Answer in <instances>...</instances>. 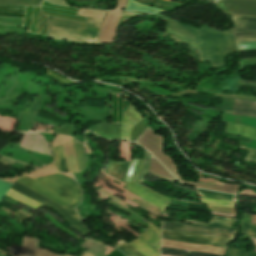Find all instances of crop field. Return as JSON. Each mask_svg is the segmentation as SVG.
I'll list each match as a JSON object with an SVG mask.
<instances>
[{
	"label": "crop field",
	"instance_id": "obj_35",
	"mask_svg": "<svg viewBox=\"0 0 256 256\" xmlns=\"http://www.w3.org/2000/svg\"><path fill=\"white\" fill-rule=\"evenodd\" d=\"M242 84L256 88V85H254V84H249V83H245V82H243Z\"/></svg>",
	"mask_w": 256,
	"mask_h": 256
},
{
	"label": "crop field",
	"instance_id": "obj_20",
	"mask_svg": "<svg viewBox=\"0 0 256 256\" xmlns=\"http://www.w3.org/2000/svg\"><path fill=\"white\" fill-rule=\"evenodd\" d=\"M125 9L147 11V12H166V11L159 10V9H156V8L140 5L136 2H134L133 0H128V4H127Z\"/></svg>",
	"mask_w": 256,
	"mask_h": 256
},
{
	"label": "crop field",
	"instance_id": "obj_14",
	"mask_svg": "<svg viewBox=\"0 0 256 256\" xmlns=\"http://www.w3.org/2000/svg\"><path fill=\"white\" fill-rule=\"evenodd\" d=\"M128 244L140 252L143 256H159V253L140 237Z\"/></svg>",
	"mask_w": 256,
	"mask_h": 256
},
{
	"label": "crop field",
	"instance_id": "obj_9",
	"mask_svg": "<svg viewBox=\"0 0 256 256\" xmlns=\"http://www.w3.org/2000/svg\"><path fill=\"white\" fill-rule=\"evenodd\" d=\"M16 181L24 184L25 186L31 188L32 190L40 193L41 195L47 197L48 199L56 202L57 204H59V205H61L63 207L66 206V205H71V203H69L65 199L61 198L57 194H55L52 191L48 190L47 188H45L44 186L40 185L39 183H37L36 181L32 180L29 177L18 178Z\"/></svg>",
	"mask_w": 256,
	"mask_h": 256
},
{
	"label": "crop field",
	"instance_id": "obj_36",
	"mask_svg": "<svg viewBox=\"0 0 256 256\" xmlns=\"http://www.w3.org/2000/svg\"><path fill=\"white\" fill-rule=\"evenodd\" d=\"M245 82H250V83H256V81H248V80H243Z\"/></svg>",
	"mask_w": 256,
	"mask_h": 256
},
{
	"label": "crop field",
	"instance_id": "obj_26",
	"mask_svg": "<svg viewBox=\"0 0 256 256\" xmlns=\"http://www.w3.org/2000/svg\"><path fill=\"white\" fill-rule=\"evenodd\" d=\"M242 233L249 237L256 238V226L250 224H243Z\"/></svg>",
	"mask_w": 256,
	"mask_h": 256
},
{
	"label": "crop field",
	"instance_id": "obj_24",
	"mask_svg": "<svg viewBox=\"0 0 256 256\" xmlns=\"http://www.w3.org/2000/svg\"><path fill=\"white\" fill-rule=\"evenodd\" d=\"M118 248L123 250L127 256H142L141 254H139L136 250H134L131 246H129L125 242L123 244H121Z\"/></svg>",
	"mask_w": 256,
	"mask_h": 256
},
{
	"label": "crop field",
	"instance_id": "obj_2",
	"mask_svg": "<svg viewBox=\"0 0 256 256\" xmlns=\"http://www.w3.org/2000/svg\"><path fill=\"white\" fill-rule=\"evenodd\" d=\"M47 38L97 44L103 20L89 18L87 23L48 17Z\"/></svg>",
	"mask_w": 256,
	"mask_h": 256
},
{
	"label": "crop field",
	"instance_id": "obj_17",
	"mask_svg": "<svg viewBox=\"0 0 256 256\" xmlns=\"http://www.w3.org/2000/svg\"><path fill=\"white\" fill-rule=\"evenodd\" d=\"M56 157L57 170L68 173L62 145L52 149Z\"/></svg>",
	"mask_w": 256,
	"mask_h": 256
},
{
	"label": "crop field",
	"instance_id": "obj_22",
	"mask_svg": "<svg viewBox=\"0 0 256 256\" xmlns=\"http://www.w3.org/2000/svg\"><path fill=\"white\" fill-rule=\"evenodd\" d=\"M149 156L150 154H148L146 151H145V155H144V163H143V166H142V169L140 171V174L137 178V182H140V183H143L144 179H145V176L147 174V170H148V166H149Z\"/></svg>",
	"mask_w": 256,
	"mask_h": 256
},
{
	"label": "crop field",
	"instance_id": "obj_37",
	"mask_svg": "<svg viewBox=\"0 0 256 256\" xmlns=\"http://www.w3.org/2000/svg\"><path fill=\"white\" fill-rule=\"evenodd\" d=\"M252 239V238H251ZM252 241L254 242L255 246H256V239H252Z\"/></svg>",
	"mask_w": 256,
	"mask_h": 256
},
{
	"label": "crop field",
	"instance_id": "obj_38",
	"mask_svg": "<svg viewBox=\"0 0 256 256\" xmlns=\"http://www.w3.org/2000/svg\"><path fill=\"white\" fill-rule=\"evenodd\" d=\"M205 1L213 2V1H216V0H205Z\"/></svg>",
	"mask_w": 256,
	"mask_h": 256
},
{
	"label": "crop field",
	"instance_id": "obj_32",
	"mask_svg": "<svg viewBox=\"0 0 256 256\" xmlns=\"http://www.w3.org/2000/svg\"><path fill=\"white\" fill-rule=\"evenodd\" d=\"M236 43L256 42V39L235 40Z\"/></svg>",
	"mask_w": 256,
	"mask_h": 256
},
{
	"label": "crop field",
	"instance_id": "obj_1",
	"mask_svg": "<svg viewBox=\"0 0 256 256\" xmlns=\"http://www.w3.org/2000/svg\"><path fill=\"white\" fill-rule=\"evenodd\" d=\"M168 22L166 32L199 50V62H209L212 68L226 65L225 53L236 52L231 30L221 33L202 25L195 29L160 14H153Z\"/></svg>",
	"mask_w": 256,
	"mask_h": 256
},
{
	"label": "crop field",
	"instance_id": "obj_8",
	"mask_svg": "<svg viewBox=\"0 0 256 256\" xmlns=\"http://www.w3.org/2000/svg\"><path fill=\"white\" fill-rule=\"evenodd\" d=\"M216 4L229 15L256 17V0H219Z\"/></svg>",
	"mask_w": 256,
	"mask_h": 256
},
{
	"label": "crop field",
	"instance_id": "obj_6",
	"mask_svg": "<svg viewBox=\"0 0 256 256\" xmlns=\"http://www.w3.org/2000/svg\"><path fill=\"white\" fill-rule=\"evenodd\" d=\"M162 239L226 248L229 239L189 234L162 229Z\"/></svg>",
	"mask_w": 256,
	"mask_h": 256
},
{
	"label": "crop field",
	"instance_id": "obj_39",
	"mask_svg": "<svg viewBox=\"0 0 256 256\" xmlns=\"http://www.w3.org/2000/svg\"><path fill=\"white\" fill-rule=\"evenodd\" d=\"M161 256H164V255H161Z\"/></svg>",
	"mask_w": 256,
	"mask_h": 256
},
{
	"label": "crop field",
	"instance_id": "obj_13",
	"mask_svg": "<svg viewBox=\"0 0 256 256\" xmlns=\"http://www.w3.org/2000/svg\"><path fill=\"white\" fill-rule=\"evenodd\" d=\"M146 242L159 251L160 230L149 224L146 232L139 234Z\"/></svg>",
	"mask_w": 256,
	"mask_h": 256
},
{
	"label": "crop field",
	"instance_id": "obj_19",
	"mask_svg": "<svg viewBox=\"0 0 256 256\" xmlns=\"http://www.w3.org/2000/svg\"><path fill=\"white\" fill-rule=\"evenodd\" d=\"M196 193H198L199 195H201L203 197H206V198L219 199V200L233 201L234 197H235V196H232V195L201 191V190H197V189H196Z\"/></svg>",
	"mask_w": 256,
	"mask_h": 256
},
{
	"label": "crop field",
	"instance_id": "obj_29",
	"mask_svg": "<svg viewBox=\"0 0 256 256\" xmlns=\"http://www.w3.org/2000/svg\"><path fill=\"white\" fill-rule=\"evenodd\" d=\"M237 50L256 49V43L236 44Z\"/></svg>",
	"mask_w": 256,
	"mask_h": 256
},
{
	"label": "crop field",
	"instance_id": "obj_31",
	"mask_svg": "<svg viewBox=\"0 0 256 256\" xmlns=\"http://www.w3.org/2000/svg\"><path fill=\"white\" fill-rule=\"evenodd\" d=\"M234 36L256 35V32L233 33Z\"/></svg>",
	"mask_w": 256,
	"mask_h": 256
},
{
	"label": "crop field",
	"instance_id": "obj_27",
	"mask_svg": "<svg viewBox=\"0 0 256 256\" xmlns=\"http://www.w3.org/2000/svg\"><path fill=\"white\" fill-rule=\"evenodd\" d=\"M240 148L249 151L248 154L246 155V157L243 159V161L256 163V151L242 148V147H240Z\"/></svg>",
	"mask_w": 256,
	"mask_h": 256
},
{
	"label": "crop field",
	"instance_id": "obj_7",
	"mask_svg": "<svg viewBox=\"0 0 256 256\" xmlns=\"http://www.w3.org/2000/svg\"><path fill=\"white\" fill-rule=\"evenodd\" d=\"M162 223H163L162 228H165V229L192 232V233L211 235V236H217V237H223V238H229V239H232L233 236L236 234L235 231L224 230V229H219L214 227H205V226H198V225L177 223V222H167V221H162Z\"/></svg>",
	"mask_w": 256,
	"mask_h": 256
},
{
	"label": "crop field",
	"instance_id": "obj_33",
	"mask_svg": "<svg viewBox=\"0 0 256 256\" xmlns=\"http://www.w3.org/2000/svg\"><path fill=\"white\" fill-rule=\"evenodd\" d=\"M64 256H69V255L65 254ZM82 256H96V255L87 250Z\"/></svg>",
	"mask_w": 256,
	"mask_h": 256
},
{
	"label": "crop field",
	"instance_id": "obj_11",
	"mask_svg": "<svg viewBox=\"0 0 256 256\" xmlns=\"http://www.w3.org/2000/svg\"><path fill=\"white\" fill-rule=\"evenodd\" d=\"M231 115L256 117V102L235 100Z\"/></svg>",
	"mask_w": 256,
	"mask_h": 256
},
{
	"label": "crop field",
	"instance_id": "obj_23",
	"mask_svg": "<svg viewBox=\"0 0 256 256\" xmlns=\"http://www.w3.org/2000/svg\"><path fill=\"white\" fill-rule=\"evenodd\" d=\"M42 0H0V4H33L39 5Z\"/></svg>",
	"mask_w": 256,
	"mask_h": 256
},
{
	"label": "crop field",
	"instance_id": "obj_5",
	"mask_svg": "<svg viewBox=\"0 0 256 256\" xmlns=\"http://www.w3.org/2000/svg\"><path fill=\"white\" fill-rule=\"evenodd\" d=\"M11 189L48 206L49 208L54 210L65 222H67L84 236L88 232L86 228H84L77 220H75L68 212H66L67 210L65 211L62 207L42 197L41 195L23 186L22 184L15 181Z\"/></svg>",
	"mask_w": 256,
	"mask_h": 256
},
{
	"label": "crop field",
	"instance_id": "obj_4",
	"mask_svg": "<svg viewBox=\"0 0 256 256\" xmlns=\"http://www.w3.org/2000/svg\"><path fill=\"white\" fill-rule=\"evenodd\" d=\"M34 180L73 204L80 199V191L74 181L59 173L34 178Z\"/></svg>",
	"mask_w": 256,
	"mask_h": 256
},
{
	"label": "crop field",
	"instance_id": "obj_18",
	"mask_svg": "<svg viewBox=\"0 0 256 256\" xmlns=\"http://www.w3.org/2000/svg\"><path fill=\"white\" fill-rule=\"evenodd\" d=\"M234 220L235 219L213 217L212 220L208 224H206V226H215L237 231L238 229L230 227Z\"/></svg>",
	"mask_w": 256,
	"mask_h": 256
},
{
	"label": "crop field",
	"instance_id": "obj_25",
	"mask_svg": "<svg viewBox=\"0 0 256 256\" xmlns=\"http://www.w3.org/2000/svg\"><path fill=\"white\" fill-rule=\"evenodd\" d=\"M228 255L227 256H256L254 253H249L245 251H241L238 249L230 248L227 249Z\"/></svg>",
	"mask_w": 256,
	"mask_h": 256
},
{
	"label": "crop field",
	"instance_id": "obj_28",
	"mask_svg": "<svg viewBox=\"0 0 256 256\" xmlns=\"http://www.w3.org/2000/svg\"><path fill=\"white\" fill-rule=\"evenodd\" d=\"M11 185H12L11 183L0 181V200L2 196L6 193V191L10 188Z\"/></svg>",
	"mask_w": 256,
	"mask_h": 256
},
{
	"label": "crop field",
	"instance_id": "obj_16",
	"mask_svg": "<svg viewBox=\"0 0 256 256\" xmlns=\"http://www.w3.org/2000/svg\"><path fill=\"white\" fill-rule=\"evenodd\" d=\"M74 153L77 161V166L79 172H81L84 168H86V162H85V154H84V148L82 145L77 141H72Z\"/></svg>",
	"mask_w": 256,
	"mask_h": 256
},
{
	"label": "crop field",
	"instance_id": "obj_3",
	"mask_svg": "<svg viewBox=\"0 0 256 256\" xmlns=\"http://www.w3.org/2000/svg\"><path fill=\"white\" fill-rule=\"evenodd\" d=\"M142 162L143 160L139 159L132 160L125 177L126 190L164 211V208L169 203L170 199L135 182L142 166Z\"/></svg>",
	"mask_w": 256,
	"mask_h": 256
},
{
	"label": "crop field",
	"instance_id": "obj_30",
	"mask_svg": "<svg viewBox=\"0 0 256 256\" xmlns=\"http://www.w3.org/2000/svg\"><path fill=\"white\" fill-rule=\"evenodd\" d=\"M64 209L67 210L74 218H76L79 221L77 214L75 213V211L72 209L71 206H67Z\"/></svg>",
	"mask_w": 256,
	"mask_h": 256
},
{
	"label": "crop field",
	"instance_id": "obj_15",
	"mask_svg": "<svg viewBox=\"0 0 256 256\" xmlns=\"http://www.w3.org/2000/svg\"><path fill=\"white\" fill-rule=\"evenodd\" d=\"M161 254L171 255V256H220V255H213V254H206V253H199V252L164 248V247H161Z\"/></svg>",
	"mask_w": 256,
	"mask_h": 256
},
{
	"label": "crop field",
	"instance_id": "obj_21",
	"mask_svg": "<svg viewBox=\"0 0 256 256\" xmlns=\"http://www.w3.org/2000/svg\"><path fill=\"white\" fill-rule=\"evenodd\" d=\"M224 81L227 82V85L222 87V90L238 91V88L241 87L240 78L227 79Z\"/></svg>",
	"mask_w": 256,
	"mask_h": 256
},
{
	"label": "crop field",
	"instance_id": "obj_12",
	"mask_svg": "<svg viewBox=\"0 0 256 256\" xmlns=\"http://www.w3.org/2000/svg\"><path fill=\"white\" fill-rule=\"evenodd\" d=\"M224 133L256 139V129L236 124L227 123Z\"/></svg>",
	"mask_w": 256,
	"mask_h": 256
},
{
	"label": "crop field",
	"instance_id": "obj_10",
	"mask_svg": "<svg viewBox=\"0 0 256 256\" xmlns=\"http://www.w3.org/2000/svg\"><path fill=\"white\" fill-rule=\"evenodd\" d=\"M233 32L256 31V18L231 16Z\"/></svg>",
	"mask_w": 256,
	"mask_h": 256
},
{
	"label": "crop field",
	"instance_id": "obj_34",
	"mask_svg": "<svg viewBox=\"0 0 256 256\" xmlns=\"http://www.w3.org/2000/svg\"><path fill=\"white\" fill-rule=\"evenodd\" d=\"M235 39L256 38V36L234 37Z\"/></svg>",
	"mask_w": 256,
	"mask_h": 256
}]
</instances>
